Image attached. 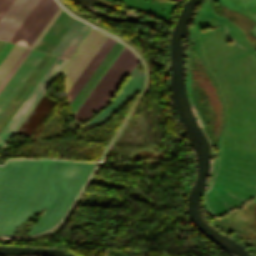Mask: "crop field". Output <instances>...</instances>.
Returning a JSON list of instances; mask_svg holds the SVG:
<instances>
[{"label": "crop field", "instance_id": "19", "mask_svg": "<svg viewBox=\"0 0 256 256\" xmlns=\"http://www.w3.org/2000/svg\"><path fill=\"white\" fill-rule=\"evenodd\" d=\"M29 51L28 48H26V50L23 52V54L20 56V58L17 60V62L15 63V65L12 67V69L9 71V73L6 75V77L3 79V81L0 84V89L1 87L4 85V83L6 82V80L9 78V76L12 74V72L15 70V68L17 67V65L20 63V61L23 59V57L26 55V53ZM22 62V61H21Z\"/></svg>", "mask_w": 256, "mask_h": 256}, {"label": "crop field", "instance_id": "17", "mask_svg": "<svg viewBox=\"0 0 256 256\" xmlns=\"http://www.w3.org/2000/svg\"><path fill=\"white\" fill-rule=\"evenodd\" d=\"M55 59V56L50 60V62L47 64V66L44 68V70L41 72V74L38 76L36 81L33 83V85L30 87V89L27 91V93L24 95V97L21 99L19 104L16 106V108L13 110V112L10 114V116L7 118V120L4 122V124L1 126L0 131L5 126V124L8 122V120L11 118V116L14 114V112L17 110V108L20 106L22 101L25 99V97L28 95V93L31 91V89L34 87V85L37 83V81L40 79V77L43 75V73L46 71V69L49 67V65L52 63V61Z\"/></svg>", "mask_w": 256, "mask_h": 256}, {"label": "crop field", "instance_id": "22", "mask_svg": "<svg viewBox=\"0 0 256 256\" xmlns=\"http://www.w3.org/2000/svg\"><path fill=\"white\" fill-rule=\"evenodd\" d=\"M31 52L30 51L27 53V55L24 57V59L22 60V62L25 60V58L28 56V54ZM22 62L19 64V66L22 64ZM19 66L16 68V70L13 72V74L10 76V78L7 80V82L5 83V85L2 87V89L0 90V92L3 90V88L6 86V84L8 83V81L11 79V77L14 75V73L17 71V69L19 68Z\"/></svg>", "mask_w": 256, "mask_h": 256}, {"label": "crop field", "instance_id": "8", "mask_svg": "<svg viewBox=\"0 0 256 256\" xmlns=\"http://www.w3.org/2000/svg\"><path fill=\"white\" fill-rule=\"evenodd\" d=\"M58 7L54 0H47L16 43L30 47Z\"/></svg>", "mask_w": 256, "mask_h": 256}, {"label": "crop field", "instance_id": "20", "mask_svg": "<svg viewBox=\"0 0 256 256\" xmlns=\"http://www.w3.org/2000/svg\"><path fill=\"white\" fill-rule=\"evenodd\" d=\"M12 46H13V44H10V43L6 42V44L0 50V62L3 60V58L9 52V50L12 48Z\"/></svg>", "mask_w": 256, "mask_h": 256}, {"label": "crop field", "instance_id": "2", "mask_svg": "<svg viewBox=\"0 0 256 256\" xmlns=\"http://www.w3.org/2000/svg\"><path fill=\"white\" fill-rule=\"evenodd\" d=\"M137 60L134 54L124 47L75 113L74 117L77 123L91 116L110 100Z\"/></svg>", "mask_w": 256, "mask_h": 256}, {"label": "crop field", "instance_id": "1", "mask_svg": "<svg viewBox=\"0 0 256 256\" xmlns=\"http://www.w3.org/2000/svg\"><path fill=\"white\" fill-rule=\"evenodd\" d=\"M60 163V160L9 159L0 166V234L10 235L21 222L42 209L51 197L50 179ZM94 165L71 161L65 172L68 182L55 209L48 216L42 213L28 235L59 222Z\"/></svg>", "mask_w": 256, "mask_h": 256}, {"label": "crop field", "instance_id": "7", "mask_svg": "<svg viewBox=\"0 0 256 256\" xmlns=\"http://www.w3.org/2000/svg\"><path fill=\"white\" fill-rule=\"evenodd\" d=\"M43 56L44 53L32 50L21 67L9 81L7 86L1 92L0 113L3 111L8 102L11 100V98L14 96V94L17 92V90L20 88V86L23 84V82L26 80V78L29 76V74L32 72V70Z\"/></svg>", "mask_w": 256, "mask_h": 256}, {"label": "crop field", "instance_id": "9", "mask_svg": "<svg viewBox=\"0 0 256 256\" xmlns=\"http://www.w3.org/2000/svg\"><path fill=\"white\" fill-rule=\"evenodd\" d=\"M65 13L66 12H64L62 10V12L59 14V16L56 18V20L53 22V24L48 29V31L45 33V35L42 37V39L36 45L35 49L49 52V50L52 48V46L55 44V42L58 40V38L64 32V30L67 28V26L69 24L70 25L68 26V28L71 26V24L74 22L75 19L72 18L69 14H67V13L65 14ZM63 15H64V17H63ZM60 19L69 24L61 21ZM68 28L65 30V32L68 30ZM65 32L62 34V36L65 34ZM62 36L59 38V40L56 42V44L50 50V53L54 49V47L57 45V43L60 41Z\"/></svg>", "mask_w": 256, "mask_h": 256}, {"label": "crop field", "instance_id": "16", "mask_svg": "<svg viewBox=\"0 0 256 256\" xmlns=\"http://www.w3.org/2000/svg\"><path fill=\"white\" fill-rule=\"evenodd\" d=\"M46 0H40L38 4L35 6V8L32 10V12L29 14V16L26 18V20L23 22V24L20 26V28L17 30V32L14 34V36L11 38L10 42L15 43V41L18 39V37L21 35V33L24 31L26 26L29 24V22L32 20V18L35 16V14L38 12L40 7L43 5V3Z\"/></svg>", "mask_w": 256, "mask_h": 256}, {"label": "crop field", "instance_id": "13", "mask_svg": "<svg viewBox=\"0 0 256 256\" xmlns=\"http://www.w3.org/2000/svg\"><path fill=\"white\" fill-rule=\"evenodd\" d=\"M24 50H25L24 47H20L16 45L13 46V48L10 50V52L7 54V56L4 58V60L0 64V82L5 77V75L8 73V71L11 69L13 64L16 62V60L19 58V56L22 54Z\"/></svg>", "mask_w": 256, "mask_h": 256}, {"label": "crop field", "instance_id": "21", "mask_svg": "<svg viewBox=\"0 0 256 256\" xmlns=\"http://www.w3.org/2000/svg\"><path fill=\"white\" fill-rule=\"evenodd\" d=\"M12 1L13 0H0V17L3 15L9 5L12 3Z\"/></svg>", "mask_w": 256, "mask_h": 256}, {"label": "crop field", "instance_id": "18", "mask_svg": "<svg viewBox=\"0 0 256 256\" xmlns=\"http://www.w3.org/2000/svg\"><path fill=\"white\" fill-rule=\"evenodd\" d=\"M62 8L59 7V9L56 11V13L53 15V17L50 19L48 24L45 26V28L42 30L40 35L37 37V39L34 41V43L31 45V48H34V46L37 44V42L40 40V38L43 36V34L46 32V30L49 28V26L52 24V22L55 20V18L58 16V14L61 12ZM48 31V30H47ZM45 35V34H44ZM42 39V38H41ZM39 43V42H38ZM36 47V46H35Z\"/></svg>", "mask_w": 256, "mask_h": 256}, {"label": "crop field", "instance_id": "15", "mask_svg": "<svg viewBox=\"0 0 256 256\" xmlns=\"http://www.w3.org/2000/svg\"><path fill=\"white\" fill-rule=\"evenodd\" d=\"M91 27L84 24V26L81 28V30L78 32L76 37L73 39V41L70 43L68 48L65 50V52L62 54V57L69 58V56L72 54V52L75 50V48L78 46V44L81 42V40L84 38V36L87 34V32L90 30Z\"/></svg>", "mask_w": 256, "mask_h": 256}, {"label": "crop field", "instance_id": "10", "mask_svg": "<svg viewBox=\"0 0 256 256\" xmlns=\"http://www.w3.org/2000/svg\"><path fill=\"white\" fill-rule=\"evenodd\" d=\"M115 42L116 41L108 37V39L99 49V51L96 53V55L88 64V66L85 68V70L82 72L80 77L71 87V89L68 91L66 97L69 104L73 100V98L76 96V94L79 92V90L82 88V86L85 84V82L88 80V78L91 76L93 71L96 69V67L99 65V63L102 61V59L105 57V55L108 53V51L111 49V47L114 45Z\"/></svg>", "mask_w": 256, "mask_h": 256}, {"label": "crop field", "instance_id": "5", "mask_svg": "<svg viewBox=\"0 0 256 256\" xmlns=\"http://www.w3.org/2000/svg\"><path fill=\"white\" fill-rule=\"evenodd\" d=\"M38 0H14L0 19V39L12 37Z\"/></svg>", "mask_w": 256, "mask_h": 256}, {"label": "crop field", "instance_id": "11", "mask_svg": "<svg viewBox=\"0 0 256 256\" xmlns=\"http://www.w3.org/2000/svg\"><path fill=\"white\" fill-rule=\"evenodd\" d=\"M55 102L43 95L17 131L29 137Z\"/></svg>", "mask_w": 256, "mask_h": 256}, {"label": "crop field", "instance_id": "4", "mask_svg": "<svg viewBox=\"0 0 256 256\" xmlns=\"http://www.w3.org/2000/svg\"><path fill=\"white\" fill-rule=\"evenodd\" d=\"M106 39L107 36L92 28V30L89 32L87 37L84 39L82 44L79 46L77 51L62 70L67 83V91L79 77L81 72L84 70V68L87 66V64L90 62V60L93 58L95 53Z\"/></svg>", "mask_w": 256, "mask_h": 256}, {"label": "crop field", "instance_id": "3", "mask_svg": "<svg viewBox=\"0 0 256 256\" xmlns=\"http://www.w3.org/2000/svg\"><path fill=\"white\" fill-rule=\"evenodd\" d=\"M66 61L67 60L65 59L56 57V59L23 101L21 106L0 132V147H3V145L6 143L9 137L12 135V133L15 131V129L18 127V125L21 123V121L24 119V117L27 115V113L30 111V109L33 107V105L63 67V65L66 63Z\"/></svg>", "mask_w": 256, "mask_h": 256}, {"label": "crop field", "instance_id": "6", "mask_svg": "<svg viewBox=\"0 0 256 256\" xmlns=\"http://www.w3.org/2000/svg\"><path fill=\"white\" fill-rule=\"evenodd\" d=\"M143 82V74L136 71L132 74L129 80L120 90L115 100L96 117L88 122L85 129L97 126L106 121L112 114H114L132 95L140 91ZM113 116V115H112ZM111 116V117H112Z\"/></svg>", "mask_w": 256, "mask_h": 256}, {"label": "crop field", "instance_id": "14", "mask_svg": "<svg viewBox=\"0 0 256 256\" xmlns=\"http://www.w3.org/2000/svg\"><path fill=\"white\" fill-rule=\"evenodd\" d=\"M82 26H83V23L75 20V22L72 24V26L64 35V37L61 39V41L52 51V54L61 56V54L64 52V50L67 48L69 43L72 41V39L75 37V35L77 34V32L80 30Z\"/></svg>", "mask_w": 256, "mask_h": 256}, {"label": "crop field", "instance_id": "12", "mask_svg": "<svg viewBox=\"0 0 256 256\" xmlns=\"http://www.w3.org/2000/svg\"><path fill=\"white\" fill-rule=\"evenodd\" d=\"M122 46L123 45L116 42V44L107 54V56L104 58L101 64L98 66V68L89 78V80L86 82L83 88L74 98V100L71 102L70 107H71L72 113L76 109V107L79 105V103L82 101V99L85 97V95L88 93V91L91 89V87L94 85V83L97 81V79L100 77V75L103 73V71L106 69V67L109 65V63L112 61V59L115 57V55L118 53V51L121 49Z\"/></svg>", "mask_w": 256, "mask_h": 256}]
</instances>
